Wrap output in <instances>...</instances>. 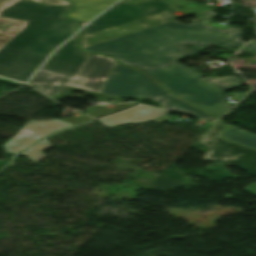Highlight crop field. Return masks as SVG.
Here are the masks:
<instances>
[{
  "label": "crop field",
  "instance_id": "8a807250",
  "mask_svg": "<svg viewBox=\"0 0 256 256\" xmlns=\"http://www.w3.org/2000/svg\"><path fill=\"white\" fill-rule=\"evenodd\" d=\"M197 15L198 20L189 25L173 21L83 50L115 56L120 63L146 72L178 97L219 117L232 108L222 99L223 89L241 85L239 79L227 76L203 80V75L176 62L210 45L228 49L245 42L239 29L228 27L224 31L201 24L215 13ZM183 43L197 46L186 52L181 48Z\"/></svg>",
  "mask_w": 256,
  "mask_h": 256
},
{
  "label": "crop field",
  "instance_id": "ac0d7876",
  "mask_svg": "<svg viewBox=\"0 0 256 256\" xmlns=\"http://www.w3.org/2000/svg\"><path fill=\"white\" fill-rule=\"evenodd\" d=\"M72 8L21 0L1 12L0 17L30 22L0 50V79L26 82L48 55L78 30L75 21L63 16Z\"/></svg>",
  "mask_w": 256,
  "mask_h": 256
},
{
  "label": "crop field",
  "instance_id": "34b2d1b8",
  "mask_svg": "<svg viewBox=\"0 0 256 256\" xmlns=\"http://www.w3.org/2000/svg\"><path fill=\"white\" fill-rule=\"evenodd\" d=\"M173 8L163 1H121L82 30L80 45L89 47L171 21Z\"/></svg>",
  "mask_w": 256,
  "mask_h": 256
},
{
  "label": "crop field",
  "instance_id": "412701ff",
  "mask_svg": "<svg viewBox=\"0 0 256 256\" xmlns=\"http://www.w3.org/2000/svg\"><path fill=\"white\" fill-rule=\"evenodd\" d=\"M115 64L111 57L89 54L74 78L39 69L29 83L52 98L67 85L100 93Z\"/></svg>",
  "mask_w": 256,
  "mask_h": 256
},
{
  "label": "crop field",
  "instance_id": "f4fd0767",
  "mask_svg": "<svg viewBox=\"0 0 256 256\" xmlns=\"http://www.w3.org/2000/svg\"><path fill=\"white\" fill-rule=\"evenodd\" d=\"M224 128L225 125L217 121L203 137L201 144L210 149L203 159L227 162L256 176V150L219 138ZM246 191L256 195V183Z\"/></svg>",
  "mask_w": 256,
  "mask_h": 256
},
{
  "label": "crop field",
  "instance_id": "dd49c442",
  "mask_svg": "<svg viewBox=\"0 0 256 256\" xmlns=\"http://www.w3.org/2000/svg\"><path fill=\"white\" fill-rule=\"evenodd\" d=\"M163 91L141 72L116 64L101 93L114 97L148 98Z\"/></svg>",
  "mask_w": 256,
  "mask_h": 256
},
{
  "label": "crop field",
  "instance_id": "e52e79f7",
  "mask_svg": "<svg viewBox=\"0 0 256 256\" xmlns=\"http://www.w3.org/2000/svg\"><path fill=\"white\" fill-rule=\"evenodd\" d=\"M77 36L78 33L55 51L56 54L51 56L41 69L73 77L88 56V54L78 50Z\"/></svg>",
  "mask_w": 256,
  "mask_h": 256
},
{
  "label": "crop field",
  "instance_id": "d8731c3e",
  "mask_svg": "<svg viewBox=\"0 0 256 256\" xmlns=\"http://www.w3.org/2000/svg\"><path fill=\"white\" fill-rule=\"evenodd\" d=\"M69 125L72 124L58 119L48 121L29 120L17 133L23 137L16 140L11 139L3 145V148L6 152L18 153L45 135Z\"/></svg>",
  "mask_w": 256,
  "mask_h": 256
},
{
  "label": "crop field",
  "instance_id": "5a996713",
  "mask_svg": "<svg viewBox=\"0 0 256 256\" xmlns=\"http://www.w3.org/2000/svg\"><path fill=\"white\" fill-rule=\"evenodd\" d=\"M19 0H0V12L9 8ZM42 4L71 5L65 0H31ZM27 21L0 18V49L13 39L25 26Z\"/></svg>",
  "mask_w": 256,
  "mask_h": 256
},
{
  "label": "crop field",
  "instance_id": "3316defc",
  "mask_svg": "<svg viewBox=\"0 0 256 256\" xmlns=\"http://www.w3.org/2000/svg\"><path fill=\"white\" fill-rule=\"evenodd\" d=\"M169 111L140 106L116 115L102 118L99 121L106 126H114L123 123L153 121Z\"/></svg>",
  "mask_w": 256,
  "mask_h": 256
},
{
  "label": "crop field",
  "instance_id": "28ad6ade",
  "mask_svg": "<svg viewBox=\"0 0 256 256\" xmlns=\"http://www.w3.org/2000/svg\"><path fill=\"white\" fill-rule=\"evenodd\" d=\"M76 9L67 15L85 23L89 22L116 0H69Z\"/></svg>",
  "mask_w": 256,
  "mask_h": 256
},
{
  "label": "crop field",
  "instance_id": "d1516ede",
  "mask_svg": "<svg viewBox=\"0 0 256 256\" xmlns=\"http://www.w3.org/2000/svg\"><path fill=\"white\" fill-rule=\"evenodd\" d=\"M167 92L162 93L157 96H154L149 99H152V100L156 101L158 104H160L162 109L184 112V113L196 115L198 117L208 119V120L215 119L214 117H212V116L204 113L203 111L193 107L192 105L170 95L171 93L169 94Z\"/></svg>",
  "mask_w": 256,
  "mask_h": 256
},
{
  "label": "crop field",
  "instance_id": "22f410ed",
  "mask_svg": "<svg viewBox=\"0 0 256 256\" xmlns=\"http://www.w3.org/2000/svg\"><path fill=\"white\" fill-rule=\"evenodd\" d=\"M222 137L256 149V135L228 126Z\"/></svg>",
  "mask_w": 256,
  "mask_h": 256
},
{
  "label": "crop field",
  "instance_id": "cbeb9de0",
  "mask_svg": "<svg viewBox=\"0 0 256 256\" xmlns=\"http://www.w3.org/2000/svg\"><path fill=\"white\" fill-rule=\"evenodd\" d=\"M50 147L53 146L47 139H45L42 142L35 145L34 147H32L31 149H29L27 152H25L24 155H26L31 161L38 162L44 157H46V155L43 153L44 149Z\"/></svg>",
  "mask_w": 256,
  "mask_h": 256
},
{
  "label": "crop field",
  "instance_id": "5142ce71",
  "mask_svg": "<svg viewBox=\"0 0 256 256\" xmlns=\"http://www.w3.org/2000/svg\"><path fill=\"white\" fill-rule=\"evenodd\" d=\"M135 103H128V104H117L114 105V107L108 109L105 107H101V106H95V107H91L87 109V115H92L95 118L97 117H101L110 113H113L115 111L130 107L132 105H134Z\"/></svg>",
  "mask_w": 256,
  "mask_h": 256
},
{
  "label": "crop field",
  "instance_id": "d9b57169",
  "mask_svg": "<svg viewBox=\"0 0 256 256\" xmlns=\"http://www.w3.org/2000/svg\"><path fill=\"white\" fill-rule=\"evenodd\" d=\"M73 89L82 90V89H78V88H74V87L67 86L65 89H63V90H62L57 96H55L53 99L57 101L59 98L64 97V96L83 97V96H78V95H68ZM82 91L87 92L88 95H92V96L99 97L98 100L110 98V99L119 101L118 98H114V97H112V96L103 95V94H98V93H94V92H90V91H86V90H82Z\"/></svg>",
  "mask_w": 256,
  "mask_h": 256
},
{
  "label": "crop field",
  "instance_id": "733c2abd",
  "mask_svg": "<svg viewBox=\"0 0 256 256\" xmlns=\"http://www.w3.org/2000/svg\"><path fill=\"white\" fill-rule=\"evenodd\" d=\"M88 119H92V118H89L86 115H83V116H78V117H74V118H63L61 120L67 121V122L72 123V124H75V123L83 122V121L88 120Z\"/></svg>",
  "mask_w": 256,
  "mask_h": 256
},
{
  "label": "crop field",
  "instance_id": "4a817a6b",
  "mask_svg": "<svg viewBox=\"0 0 256 256\" xmlns=\"http://www.w3.org/2000/svg\"><path fill=\"white\" fill-rule=\"evenodd\" d=\"M245 48H246V49H249V50L256 51V45H255V44L249 43V44H247V45L245 46Z\"/></svg>",
  "mask_w": 256,
  "mask_h": 256
},
{
  "label": "crop field",
  "instance_id": "bc2a9ffb",
  "mask_svg": "<svg viewBox=\"0 0 256 256\" xmlns=\"http://www.w3.org/2000/svg\"><path fill=\"white\" fill-rule=\"evenodd\" d=\"M18 137H21V136L15 135V137H14L13 139H16V138H18Z\"/></svg>",
  "mask_w": 256,
  "mask_h": 256
}]
</instances>
